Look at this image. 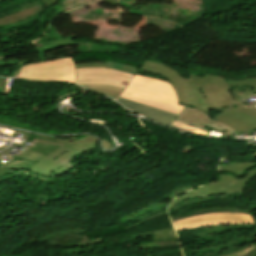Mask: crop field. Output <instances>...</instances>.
Listing matches in <instances>:
<instances>
[{"instance_id": "obj_7", "label": "crop field", "mask_w": 256, "mask_h": 256, "mask_svg": "<svg viewBox=\"0 0 256 256\" xmlns=\"http://www.w3.org/2000/svg\"><path fill=\"white\" fill-rule=\"evenodd\" d=\"M221 174L218 180L244 185L256 175V164L236 162L220 165Z\"/></svg>"}, {"instance_id": "obj_17", "label": "crop field", "mask_w": 256, "mask_h": 256, "mask_svg": "<svg viewBox=\"0 0 256 256\" xmlns=\"http://www.w3.org/2000/svg\"><path fill=\"white\" fill-rule=\"evenodd\" d=\"M93 67L107 68L105 63H88V64L76 65V68H93Z\"/></svg>"}, {"instance_id": "obj_14", "label": "crop field", "mask_w": 256, "mask_h": 256, "mask_svg": "<svg viewBox=\"0 0 256 256\" xmlns=\"http://www.w3.org/2000/svg\"><path fill=\"white\" fill-rule=\"evenodd\" d=\"M34 163L22 160V162L18 161L15 159L11 164L4 165L9 168H15V169H20V170H25L27 171L30 167H32Z\"/></svg>"}, {"instance_id": "obj_3", "label": "crop field", "mask_w": 256, "mask_h": 256, "mask_svg": "<svg viewBox=\"0 0 256 256\" xmlns=\"http://www.w3.org/2000/svg\"><path fill=\"white\" fill-rule=\"evenodd\" d=\"M120 97L178 115L184 109V106L178 104L170 83L138 75H135Z\"/></svg>"}, {"instance_id": "obj_10", "label": "crop field", "mask_w": 256, "mask_h": 256, "mask_svg": "<svg viewBox=\"0 0 256 256\" xmlns=\"http://www.w3.org/2000/svg\"><path fill=\"white\" fill-rule=\"evenodd\" d=\"M117 101H119L121 104H123L125 107L129 108L133 112L137 114H141L147 119L155 121L164 126L170 127L173 121L178 117V115H174L168 112H164L158 109H154V108L144 106L138 103H134L128 100H124L121 98H119Z\"/></svg>"}, {"instance_id": "obj_12", "label": "crop field", "mask_w": 256, "mask_h": 256, "mask_svg": "<svg viewBox=\"0 0 256 256\" xmlns=\"http://www.w3.org/2000/svg\"><path fill=\"white\" fill-rule=\"evenodd\" d=\"M43 47H37V49L40 51L41 54L51 51L54 49H58L65 46H74V45H81V46H87L91 44H84V43H78L74 42L73 39H62V40H56V41H50V42H44L41 43Z\"/></svg>"}, {"instance_id": "obj_4", "label": "crop field", "mask_w": 256, "mask_h": 256, "mask_svg": "<svg viewBox=\"0 0 256 256\" xmlns=\"http://www.w3.org/2000/svg\"><path fill=\"white\" fill-rule=\"evenodd\" d=\"M18 78L36 81H64L75 84L73 57L25 66Z\"/></svg>"}, {"instance_id": "obj_20", "label": "crop field", "mask_w": 256, "mask_h": 256, "mask_svg": "<svg viewBox=\"0 0 256 256\" xmlns=\"http://www.w3.org/2000/svg\"><path fill=\"white\" fill-rule=\"evenodd\" d=\"M0 59H3V60H4V59H5V56H0Z\"/></svg>"}, {"instance_id": "obj_13", "label": "crop field", "mask_w": 256, "mask_h": 256, "mask_svg": "<svg viewBox=\"0 0 256 256\" xmlns=\"http://www.w3.org/2000/svg\"><path fill=\"white\" fill-rule=\"evenodd\" d=\"M171 128L179 130V131H183L186 133H191V134H196V135H201V136H205L207 137V134L209 132L195 128V127H191L179 122L174 121V123L171 125Z\"/></svg>"}, {"instance_id": "obj_5", "label": "crop field", "mask_w": 256, "mask_h": 256, "mask_svg": "<svg viewBox=\"0 0 256 256\" xmlns=\"http://www.w3.org/2000/svg\"><path fill=\"white\" fill-rule=\"evenodd\" d=\"M175 230L221 224H255L252 215L236 213H212L172 222Z\"/></svg>"}, {"instance_id": "obj_2", "label": "crop field", "mask_w": 256, "mask_h": 256, "mask_svg": "<svg viewBox=\"0 0 256 256\" xmlns=\"http://www.w3.org/2000/svg\"><path fill=\"white\" fill-rule=\"evenodd\" d=\"M97 141L98 139L91 135L83 137L74 142L64 140H57V142H53L34 138L32 142L51 146L61 145V148L55 150L47 157L43 156L32 168L28 170V172L53 178L59 177L66 172L76 168L69 163L73 157L86 151L98 149L96 145Z\"/></svg>"}, {"instance_id": "obj_8", "label": "crop field", "mask_w": 256, "mask_h": 256, "mask_svg": "<svg viewBox=\"0 0 256 256\" xmlns=\"http://www.w3.org/2000/svg\"><path fill=\"white\" fill-rule=\"evenodd\" d=\"M176 121H179L188 125H192L207 131H209L211 127L223 132L226 130H229L235 133L236 131L228 126H225L217 122L216 120L210 118L209 116L189 107H185V109L183 110L181 115L176 119Z\"/></svg>"}, {"instance_id": "obj_16", "label": "crop field", "mask_w": 256, "mask_h": 256, "mask_svg": "<svg viewBox=\"0 0 256 256\" xmlns=\"http://www.w3.org/2000/svg\"><path fill=\"white\" fill-rule=\"evenodd\" d=\"M16 175H18V174L13 172L12 170L0 168V182L6 180L8 178L14 177Z\"/></svg>"}, {"instance_id": "obj_18", "label": "crop field", "mask_w": 256, "mask_h": 256, "mask_svg": "<svg viewBox=\"0 0 256 256\" xmlns=\"http://www.w3.org/2000/svg\"><path fill=\"white\" fill-rule=\"evenodd\" d=\"M91 90L108 95L114 99L117 98L121 94L120 92H114V91H109V90H104V89H91Z\"/></svg>"}, {"instance_id": "obj_15", "label": "crop field", "mask_w": 256, "mask_h": 256, "mask_svg": "<svg viewBox=\"0 0 256 256\" xmlns=\"http://www.w3.org/2000/svg\"><path fill=\"white\" fill-rule=\"evenodd\" d=\"M81 86L85 87V88H104V89L115 90V91H120V92L123 91L122 88L108 86V85H102V84H87V85H81Z\"/></svg>"}, {"instance_id": "obj_9", "label": "crop field", "mask_w": 256, "mask_h": 256, "mask_svg": "<svg viewBox=\"0 0 256 256\" xmlns=\"http://www.w3.org/2000/svg\"><path fill=\"white\" fill-rule=\"evenodd\" d=\"M243 188L244 187L240 185L217 181L214 184H209L201 188H198L192 192H189L187 194L181 195L180 197L174 200L170 208L187 199H191L195 197L210 196L215 194L238 193V192H242Z\"/></svg>"}, {"instance_id": "obj_11", "label": "crop field", "mask_w": 256, "mask_h": 256, "mask_svg": "<svg viewBox=\"0 0 256 256\" xmlns=\"http://www.w3.org/2000/svg\"><path fill=\"white\" fill-rule=\"evenodd\" d=\"M42 9H44L43 5L40 6V7H33V8L28 9V10H23V11H20L19 13H17V14H13V15L7 16L5 18H2V19H0V26L6 25V24L17 23L21 20H24V19L38 13Z\"/></svg>"}, {"instance_id": "obj_19", "label": "crop field", "mask_w": 256, "mask_h": 256, "mask_svg": "<svg viewBox=\"0 0 256 256\" xmlns=\"http://www.w3.org/2000/svg\"><path fill=\"white\" fill-rule=\"evenodd\" d=\"M190 189H193V188H187V189H182V190L176 191L172 195H170L168 198L173 199L174 197L178 196L179 194L184 193Z\"/></svg>"}, {"instance_id": "obj_1", "label": "crop field", "mask_w": 256, "mask_h": 256, "mask_svg": "<svg viewBox=\"0 0 256 256\" xmlns=\"http://www.w3.org/2000/svg\"><path fill=\"white\" fill-rule=\"evenodd\" d=\"M139 70L167 78L180 104L195 108L241 132L256 129V105L244 104L247 103L245 99L256 94V77L234 81L211 74L199 76L190 73L187 79L165 64L147 60Z\"/></svg>"}, {"instance_id": "obj_6", "label": "crop field", "mask_w": 256, "mask_h": 256, "mask_svg": "<svg viewBox=\"0 0 256 256\" xmlns=\"http://www.w3.org/2000/svg\"><path fill=\"white\" fill-rule=\"evenodd\" d=\"M77 85L86 83H102L125 88L132 75L114 71L112 69H76Z\"/></svg>"}]
</instances>
